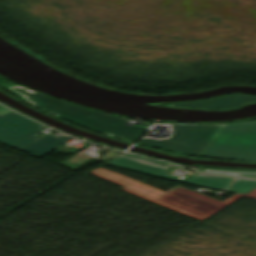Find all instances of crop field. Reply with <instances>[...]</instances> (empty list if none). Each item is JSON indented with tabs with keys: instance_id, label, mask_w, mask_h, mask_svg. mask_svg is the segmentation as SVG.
Here are the masks:
<instances>
[{
	"instance_id": "crop-field-10",
	"label": "crop field",
	"mask_w": 256,
	"mask_h": 256,
	"mask_svg": "<svg viewBox=\"0 0 256 256\" xmlns=\"http://www.w3.org/2000/svg\"><path fill=\"white\" fill-rule=\"evenodd\" d=\"M207 173L229 175L241 178H256V172H241V171H219L206 169Z\"/></svg>"
},
{
	"instance_id": "crop-field-2",
	"label": "crop field",
	"mask_w": 256,
	"mask_h": 256,
	"mask_svg": "<svg viewBox=\"0 0 256 256\" xmlns=\"http://www.w3.org/2000/svg\"><path fill=\"white\" fill-rule=\"evenodd\" d=\"M201 156L256 161V121L220 125Z\"/></svg>"
},
{
	"instance_id": "crop-field-6",
	"label": "crop field",
	"mask_w": 256,
	"mask_h": 256,
	"mask_svg": "<svg viewBox=\"0 0 256 256\" xmlns=\"http://www.w3.org/2000/svg\"><path fill=\"white\" fill-rule=\"evenodd\" d=\"M180 188L183 189V190H180ZM176 190H178V191H180V192H183V193H185V194L191 195V196H193V197L202 199V200H204V201L210 202V203H212V204H215V205H217V207L212 206V205L207 204V203H204V202H202V201L193 199V198H191V197L185 196V195L180 194V193H178V192H176V191H171V192H169V193H171V194H173V195H176V196H179V197H181V198L187 199V200H189V201L195 202V203H197V204H199V205H202V206H204V207H207V208H209V209H211V210H213V211L208 210V209H205V208L200 207V206H197V205H194V204H191V203H189V202H187V201H184V200H182V199H179V198H177V197H175V196H173V195L171 196V195H169V194H167V193H164V194H162V195L156 197V198H158V199L164 200V201H166V202H169V203H171V204H174V205H176V206L182 207V208H184V209H187V210H189V211H192V212H194V213H197V214H200V215L204 216L203 218H201V217H199V216H196V215H194V214H191V213L186 212V211H184V210H181V209H179V208L173 207V206H171V205H168V204L163 203V202H161V201H158V200H156V199H154V200H152V201L157 202V203L162 204V205H165V206H167V207H170V208H172V209H175V210L180 211V212H182V213H185V214H187V215L193 216V217L198 218V219H200V220L206 218L207 216L211 215L212 213L218 211L219 209H221V208H223L224 206L227 205V204H224V203H222V202L213 200V199H211V198H208V197H206V196H203V195H201V194H199V193H196V192H194V191H191V190L186 189V188H183V187H179V188H177ZM165 197H167V198H169V199H172V200H175V201H177V202L183 203V204L188 205V206H190V207L196 208V209H198V210L204 211V212L208 213V215H206V214H204V213H201V212H199V211H196V210H194V209H191V208H189V207H187V206H184V205H182V204H179V203H177V202H174V201H172V200H169V199H167V198H165Z\"/></svg>"
},
{
	"instance_id": "crop-field-4",
	"label": "crop field",
	"mask_w": 256,
	"mask_h": 256,
	"mask_svg": "<svg viewBox=\"0 0 256 256\" xmlns=\"http://www.w3.org/2000/svg\"><path fill=\"white\" fill-rule=\"evenodd\" d=\"M107 163L120 166V167L133 169V170L140 171L147 174L158 175V176L182 181L180 179L170 176L169 173L167 172L166 168L168 166H173V165L161 163V162L154 161L147 158H140V157H134L132 155L122 154ZM173 167H176V166H173ZM233 180L234 179H230V178L197 174L185 180L184 182L223 191Z\"/></svg>"
},
{
	"instance_id": "crop-field-5",
	"label": "crop field",
	"mask_w": 256,
	"mask_h": 256,
	"mask_svg": "<svg viewBox=\"0 0 256 256\" xmlns=\"http://www.w3.org/2000/svg\"><path fill=\"white\" fill-rule=\"evenodd\" d=\"M45 126L31 121L6 107L0 108V142L20 150L41 139L33 136Z\"/></svg>"
},
{
	"instance_id": "crop-field-7",
	"label": "crop field",
	"mask_w": 256,
	"mask_h": 256,
	"mask_svg": "<svg viewBox=\"0 0 256 256\" xmlns=\"http://www.w3.org/2000/svg\"><path fill=\"white\" fill-rule=\"evenodd\" d=\"M256 101L255 96L243 95V94H232L225 95L205 101L181 103L170 105L171 107H196L205 109H221V108H233L241 104Z\"/></svg>"
},
{
	"instance_id": "crop-field-8",
	"label": "crop field",
	"mask_w": 256,
	"mask_h": 256,
	"mask_svg": "<svg viewBox=\"0 0 256 256\" xmlns=\"http://www.w3.org/2000/svg\"><path fill=\"white\" fill-rule=\"evenodd\" d=\"M69 138H71V137L66 136V137L58 140L54 137L47 135L43 139L28 146L24 150L40 157V156L48 153L49 151L53 150L54 148L60 146L63 142H65Z\"/></svg>"
},
{
	"instance_id": "crop-field-3",
	"label": "crop field",
	"mask_w": 256,
	"mask_h": 256,
	"mask_svg": "<svg viewBox=\"0 0 256 256\" xmlns=\"http://www.w3.org/2000/svg\"><path fill=\"white\" fill-rule=\"evenodd\" d=\"M170 126L173 129L171 138L166 140L143 139L139 143L200 156L219 125Z\"/></svg>"
},
{
	"instance_id": "crop-field-9",
	"label": "crop field",
	"mask_w": 256,
	"mask_h": 256,
	"mask_svg": "<svg viewBox=\"0 0 256 256\" xmlns=\"http://www.w3.org/2000/svg\"><path fill=\"white\" fill-rule=\"evenodd\" d=\"M256 187V181L238 180L226 191L235 193H247Z\"/></svg>"
},
{
	"instance_id": "crop-field-1",
	"label": "crop field",
	"mask_w": 256,
	"mask_h": 256,
	"mask_svg": "<svg viewBox=\"0 0 256 256\" xmlns=\"http://www.w3.org/2000/svg\"><path fill=\"white\" fill-rule=\"evenodd\" d=\"M9 89L25 97L29 103L38 106L52 114H55L78 125L121 139L129 141L136 140L148 129L137 125H124L127 122L126 119L85 110L68 103L51 99L40 93L30 91L24 87L14 85L10 86Z\"/></svg>"
}]
</instances>
